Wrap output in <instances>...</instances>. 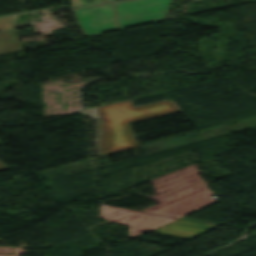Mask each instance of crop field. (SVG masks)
I'll return each mask as SVG.
<instances>
[{"label": "crop field", "mask_w": 256, "mask_h": 256, "mask_svg": "<svg viewBox=\"0 0 256 256\" xmlns=\"http://www.w3.org/2000/svg\"><path fill=\"white\" fill-rule=\"evenodd\" d=\"M172 0H125L75 9L85 37L166 18Z\"/></svg>", "instance_id": "crop-field-1"}, {"label": "crop field", "mask_w": 256, "mask_h": 256, "mask_svg": "<svg viewBox=\"0 0 256 256\" xmlns=\"http://www.w3.org/2000/svg\"><path fill=\"white\" fill-rule=\"evenodd\" d=\"M106 126V136L101 155L137 147L127 122L177 111L170 101L132 107L130 101L97 107Z\"/></svg>", "instance_id": "crop-field-2"}, {"label": "crop field", "mask_w": 256, "mask_h": 256, "mask_svg": "<svg viewBox=\"0 0 256 256\" xmlns=\"http://www.w3.org/2000/svg\"><path fill=\"white\" fill-rule=\"evenodd\" d=\"M206 185H202L179 196L156 204L143 212L181 218L216 201Z\"/></svg>", "instance_id": "crop-field-3"}, {"label": "crop field", "mask_w": 256, "mask_h": 256, "mask_svg": "<svg viewBox=\"0 0 256 256\" xmlns=\"http://www.w3.org/2000/svg\"><path fill=\"white\" fill-rule=\"evenodd\" d=\"M152 181L157 195L150 198L154 199L157 203L204 184L197 175L195 164L158 177Z\"/></svg>", "instance_id": "crop-field-4"}, {"label": "crop field", "mask_w": 256, "mask_h": 256, "mask_svg": "<svg viewBox=\"0 0 256 256\" xmlns=\"http://www.w3.org/2000/svg\"><path fill=\"white\" fill-rule=\"evenodd\" d=\"M219 225L220 224L183 218L168 225H165L159 229H156L153 232L192 239Z\"/></svg>", "instance_id": "crop-field-5"}, {"label": "crop field", "mask_w": 256, "mask_h": 256, "mask_svg": "<svg viewBox=\"0 0 256 256\" xmlns=\"http://www.w3.org/2000/svg\"><path fill=\"white\" fill-rule=\"evenodd\" d=\"M175 219L176 218L138 212L134 215L119 220L116 223L130 226V237H136L168 224Z\"/></svg>", "instance_id": "crop-field-6"}, {"label": "crop field", "mask_w": 256, "mask_h": 256, "mask_svg": "<svg viewBox=\"0 0 256 256\" xmlns=\"http://www.w3.org/2000/svg\"><path fill=\"white\" fill-rule=\"evenodd\" d=\"M136 212L137 211L101 205V215L111 221H117Z\"/></svg>", "instance_id": "crop-field-7"}, {"label": "crop field", "mask_w": 256, "mask_h": 256, "mask_svg": "<svg viewBox=\"0 0 256 256\" xmlns=\"http://www.w3.org/2000/svg\"><path fill=\"white\" fill-rule=\"evenodd\" d=\"M18 19L19 15L0 18V30L14 28Z\"/></svg>", "instance_id": "crop-field-8"}, {"label": "crop field", "mask_w": 256, "mask_h": 256, "mask_svg": "<svg viewBox=\"0 0 256 256\" xmlns=\"http://www.w3.org/2000/svg\"><path fill=\"white\" fill-rule=\"evenodd\" d=\"M13 254H25L23 248H13Z\"/></svg>", "instance_id": "crop-field-9"}, {"label": "crop field", "mask_w": 256, "mask_h": 256, "mask_svg": "<svg viewBox=\"0 0 256 256\" xmlns=\"http://www.w3.org/2000/svg\"><path fill=\"white\" fill-rule=\"evenodd\" d=\"M0 253H11V248H0Z\"/></svg>", "instance_id": "crop-field-10"}, {"label": "crop field", "mask_w": 256, "mask_h": 256, "mask_svg": "<svg viewBox=\"0 0 256 256\" xmlns=\"http://www.w3.org/2000/svg\"><path fill=\"white\" fill-rule=\"evenodd\" d=\"M3 169H7V167L0 163V170H3Z\"/></svg>", "instance_id": "crop-field-11"}, {"label": "crop field", "mask_w": 256, "mask_h": 256, "mask_svg": "<svg viewBox=\"0 0 256 256\" xmlns=\"http://www.w3.org/2000/svg\"><path fill=\"white\" fill-rule=\"evenodd\" d=\"M0 256H18V255H0Z\"/></svg>", "instance_id": "crop-field-12"}, {"label": "crop field", "mask_w": 256, "mask_h": 256, "mask_svg": "<svg viewBox=\"0 0 256 256\" xmlns=\"http://www.w3.org/2000/svg\"><path fill=\"white\" fill-rule=\"evenodd\" d=\"M250 1H255V0H250Z\"/></svg>", "instance_id": "crop-field-13"}, {"label": "crop field", "mask_w": 256, "mask_h": 256, "mask_svg": "<svg viewBox=\"0 0 256 256\" xmlns=\"http://www.w3.org/2000/svg\"><path fill=\"white\" fill-rule=\"evenodd\" d=\"M104 1H108V0H104Z\"/></svg>", "instance_id": "crop-field-14"}]
</instances>
